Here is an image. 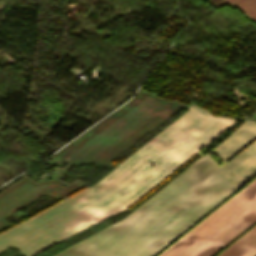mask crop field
Segmentation results:
<instances>
[{
	"mask_svg": "<svg viewBox=\"0 0 256 256\" xmlns=\"http://www.w3.org/2000/svg\"><path fill=\"white\" fill-rule=\"evenodd\" d=\"M235 121L193 107L96 184L0 234L32 256L130 206Z\"/></svg>",
	"mask_w": 256,
	"mask_h": 256,
	"instance_id": "8a807250",
	"label": "crop field"
},
{
	"mask_svg": "<svg viewBox=\"0 0 256 256\" xmlns=\"http://www.w3.org/2000/svg\"><path fill=\"white\" fill-rule=\"evenodd\" d=\"M256 124L246 120L122 220L54 256H154L254 175ZM211 152V151H210ZM233 174V176L230 175Z\"/></svg>",
	"mask_w": 256,
	"mask_h": 256,
	"instance_id": "ac0d7876",
	"label": "crop field"
},
{
	"mask_svg": "<svg viewBox=\"0 0 256 256\" xmlns=\"http://www.w3.org/2000/svg\"><path fill=\"white\" fill-rule=\"evenodd\" d=\"M255 221L256 179L159 256H213ZM217 256H256V225Z\"/></svg>",
	"mask_w": 256,
	"mask_h": 256,
	"instance_id": "34b2d1b8",
	"label": "crop field"
},
{
	"mask_svg": "<svg viewBox=\"0 0 256 256\" xmlns=\"http://www.w3.org/2000/svg\"><path fill=\"white\" fill-rule=\"evenodd\" d=\"M230 2L234 3L254 21L256 20V0H223L215 5L219 7Z\"/></svg>",
	"mask_w": 256,
	"mask_h": 256,
	"instance_id": "412701ff",
	"label": "crop field"
}]
</instances>
